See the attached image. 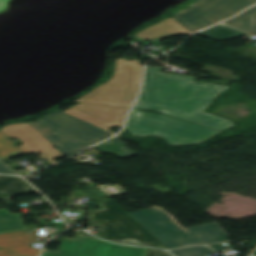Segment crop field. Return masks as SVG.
Segmentation results:
<instances>
[{
  "label": "crop field",
  "mask_w": 256,
  "mask_h": 256,
  "mask_svg": "<svg viewBox=\"0 0 256 256\" xmlns=\"http://www.w3.org/2000/svg\"><path fill=\"white\" fill-rule=\"evenodd\" d=\"M160 70V67H147L145 84L134 108L161 112L220 131L234 126L230 120L203 112L227 86L194 83L193 77L160 73Z\"/></svg>",
  "instance_id": "8a807250"
},
{
  "label": "crop field",
  "mask_w": 256,
  "mask_h": 256,
  "mask_svg": "<svg viewBox=\"0 0 256 256\" xmlns=\"http://www.w3.org/2000/svg\"><path fill=\"white\" fill-rule=\"evenodd\" d=\"M130 215L168 249L195 244H211L227 239V235L215 223L184 229L156 208L130 213Z\"/></svg>",
  "instance_id": "ac0d7876"
},
{
  "label": "crop field",
  "mask_w": 256,
  "mask_h": 256,
  "mask_svg": "<svg viewBox=\"0 0 256 256\" xmlns=\"http://www.w3.org/2000/svg\"><path fill=\"white\" fill-rule=\"evenodd\" d=\"M125 130L135 136H159L171 146L201 143L220 132L163 114L154 115L138 110H132ZM179 136L195 141L182 142Z\"/></svg>",
  "instance_id": "34b2d1b8"
},
{
  "label": "crop field",
  "mask_w": 256,
  "mask_h": 256,
  "mask_svg": "<svg viewBox=\"0 0 256 256\" xmlns=\"http://www.w3.org/2000/svg\"><path fill=\"white\" fill-rule=\"evenodd\" d=\"M91 226L100 228L95 235L107 240L165 248L157 238L110 198L100 202V208L91 213Z\"/></svg>",
  "instance_id": "412701ff"
},
{
  "label": "crop field",
  "mask_w": 256,
  "mask_h": 256,
  "mask_svg": "<svg viewBox=\"0 0 256 256\" xmlns=\"http://www.w3.org/2000/svg\"><path fill=\"white\" fill-rule=\"evenodd\" d=\"M142 69L139 61L118 59L114 77L75 102L130 108L140 87Z\"/></svg>",
  "instance_id": "f4fd0767"
},
{
  "label": "crop field",
  "mask_w": 256,
  "mask_h": 256,
  "mask_svg": "<svg viewBox=\"0 0 256 256\" xmlns=\"http://www.w3.org/2000/svg\"><path fill=\"white\" fill-rule=\"evenodd\" d=\"M254 3L256 0H200L173 17L194 33Z\"/></svg>",
  "instance_id": "dd49c442"
},
{
  "label": "crop field",
  "mask_w": 256,
  "mask_h": 256,
  "mask_svg": "<svg viewBox=\"0 0 256 256\" xmlns=\"http://www.w3.org/2000/svg\"><path fill=\"white\" fill-rule=\"evenodd\" d=\"M30 124L40 134L59 130L89 146L114 135L61 111L45 115Z\"/></svg>",
  "instance_id": "e52e79f7"
},
{
  "label": "crop field",
  "mask_w": 256,
  "mask_h": 256,
  "mask_svg": "<svg viewBox=\"0 0 256 256\" xmlns=\"http://www.w3.org/2000/svg\"><path fill=\"white\" fill-rule=\"evenodd\" d=\"M148 249L110 244L79 234L63 239L58 252L44 250L42 256H145Z\"/></svg>",
  "instance_id": "d8731c3e"
},
{
  "label": "crop field",
  "mask_w": 256,
  "mask_h": 256,
  "mask_svg": "<svg viewBox=\"0 0 256 256\" xmlns=\"http://www.w3.org/2000/svg\"><path fill=\"white\" fill-rule=\"evenodd\" d=\"M0 131L23 143L24 145L19 146V148L25 154L35 152L50 164L55 162L54 160L63 157L60 152L27 124L9 125Z\"/></svg>",
  "instance_id": "5a996713"
},
{
  "label": "crop field",
  "mask_w": 256,
  "mask_h": 256,
  "mask_svg": "<svg viewBox=\"0 0 256 256\" xmlns=\"http://www.w3.org/2000/svg\"><path fill=\"white\" fill-rule=\"evenodd\" d=\"M128 109L82 103L64 112L109 131L111 126L121 127Z\"/></svg>",
  "instance_id": "3316defc"
},
{
  "label": "crop field",
  "mask_w": 256,
  "mask_h": 256,
  "mask_svg": "<svg viewBox=\"0 0 256 256\" xmlns=\"http://www.w3.org/2000/svg\"><path fill=\"white\" fill-rule=\"evenodd\" d=\"M36 236L33 230L0 234V256H37L41 249L31 248Z\"/></svg>",
  "instance_id": "28ad6ade"
},
{
  "label": "crop field",
  "mask_w": 256,
  "mask_h": 256,
  "mask_svg": "<svg viewBox=\"0 0 256 256\" xmlns=\"http://www.w3.org/2000/svg\"><path fill=\"white\" fill-rule=\"evenodd\" d=\"M170 34H192L184 26H182L177 20L173 17L162 21L156 25H153L147 29H144L138 33L136 36L145 39L158 41Z\"/></svg>",
  "instance_id": "d1516ede"
},
{
  "label": "crop field",
  "mask_w": 256,
  "mask_h": 256,
  "mask_svg": "<svg viewBox=\"0 0 256 256\" xmlns=\"http://www.w3.org/2000/svg\"><path fill=\"white\" fill-rule=\"evenodd\" d=\"M47 139L57 150H59L65 157L83 150L86 146L58 131L41 134Z\"/></svg>",
  "instance_id": "22f410ed"
},
{
  "label": "crop field",
  "mask_w": 256,
  "mask_h": 256,
  "mask_svg": "<svg viewBox=\"0 0 256 256\" xmlns=\"http://www.w3.org/2000/svg\"><path fill=\"white\" fill-rule=\"evenodd\" d=\"M3 192L7 194L4 196L0 195V199L16 194L34 193L36 191L21 178L0 176V194Z\"/></svg>",
  "instance_id": "cbeb9de0"
},
{
  "label": "crop field",
  "mask_w": 256,
  "mask_h": 256,
  "mask_svg": "<svg viewBox=\"0 0 256 256\" xmlns=\"http://www.w3.org/2000/svg\"><path fill=\"white\" fill-rule=\"evenodd\" d=\"M225 24L243 30L247 33L253 32L256 34V6L225 22Z\"/></svg>",
  "instance_id": "5142ce71"
},
{
  "label": "crop field",
  "mask_w": 256,
  "mask_h": 256,
  "mask_svg": "<svg viewBox=\"0 0 256 256\" xmlns=\"http://www.w3.org/2000/svg\"><path fill=\"white\" fill-rule=\"evenodd\" d=\"M119 136L95 147L96 149L108 154H114L120 158H126V157H131L134 156L138 153L126 148L127 147V143H123L121 141H119L117 138Z\"/></svg>",
  "instance_id": "d9b57169"
},
{
  "label": "crop field",
  "mask_w": 256,
  "mask_h": 256,
  "mask_svg": "<svg viewBox=\"0 0 256 256\" xmlns=\"http://www.w3.org/2000/svg\"><path fill=\"white\" fill-rule=\"evenodd\" d=\"M243 34L244 33L240 31L219 24L205 32L198 33L197 35H201L212 40H228L239 37Z\"/></svg>",
  "instance_id": "733c2abd"
},
{
  "label": "crop field",
  "mask_w": 256,
  "mask_h": 256,
  "mask_svg": "<svg viewBox=\"0 0 256 256\" xmlns=\"http://www.w3.org/2000/svg\"><path fill=\"white\" fill-rule=\"evenodd\" d=\"M2 216H7L6 218H2ZM23 226L18 214L10 215L7 210H0V233L24 230Z\"/></svg>",
  "instance_id": "4a817a6b"
},
{
  "label": "crop field",
  "mask_w": 256,
  "mask_h": 256,
  "mask_svg": "<svg viewBox=\"0 0 256 256\" xmlns=\"http://www.w3.org/2000/svg\"><path fill=\"white\" fill-rule=\"evenodd\" d=\"M23 152L0 132V158L2 160L22 154Z\"/></svg>",
  "instance_id": "bc2a9ffb"
},
{
  "label": "crop field",
  "mask_w": 256,
  "mask_h": 256,
  "mask_svg": "<svg viewBox=\"0 0 256 256\" xmlns=\"http://www.w3.org/2000/svg\"><path fill=\"white\" fill-rule=\"evenodd\" d=\"M208 251L212 250L208 247L195 246L178 250H172L171 252L174 253L176 256H206L203 253Z\"/></svg>",
  "instance_id": "214f88e0"
},
{
  "label": "crop field",
  "mask_w": 256,
  "mask_h": 256,
  "mask_svg": "<svg viewBox=\"0 0 256 256\" xmlns=\"http://www.w3.org/2000/svg\"><path fill=\"white\" fill-rule=\"evenodd\" d=\"M99 187L109 197L116 196V195H121V194H125L126 193L118 185H103V186H99Z\"/></svg>",
  "instance_id": "92a150f3"
},
{
  "label": "crop field",
  "mask_w": 256,
  "mask_h": 256,
  "mask_svg": "<svg viewBox=\"0 0 256 256\" xmlns=\"http://www.w3.org/2000/svg\"><path fill=\"white\" fill-rule=\"evenodd\" d=\"M147 256H171V255L162 250L150 249Z\"/></svg>",
  "instance_id": "dafd665d"
},
{
  "label": "crop field",
  "mask_w": 256,
  "mask_h": 256,
  "mask_svg": "<svg viewBox=\"0 0 256 256\" xmlns=\"http://www.w3.org/2000/svg\"><path fill=\"white\" fill-rule=\"evenodd\" d=\"M0 173H9V174H15L10 168H8L4 163L0 161Z\"/></svg>",
  "instance_id": "00972430"
},
{
  "label": "crop field",
  "mask_w": 256,
  "mask_h": 256,
  "mask_svg": "<svg viewBox=\"0 0 256 256\" xmlns=\"http://www.w3.org/2000/svg\"><path fill=\"white\" fill-rule=\"evenodd\" d=\"M210 247H212L214 250L216 251H219L221 250L222 248H224L223 246H221L220 244H217V245H211Z\"/></svg>",
  "instance_id": "a9b5d70f"
},
{
  "label": "crop field",
  "mask_w": 256,
  "mask_h": 256,
  "mask_svg": "<svg viewBox=\"0 0 256 256\" xmlns=\"http://www.w3.org/2000/svg\"><path fill=\"white\" fill-rule=\"evenodd\" d=\"M10 200V199H9ZM8 200V198H5V199H1L0 201H2L4 204H6L7 206H10L12 205L11 202Z\"/></svg>",
  "instance_id": "4177f3b9"
},
{
  "label": "crop field",
  "mask_w": 256,
  "mask_h": 256,
  "mask_svg": "<svg viewBox=\"0 0 256 256\" xmlns=\"http://www.w3.org/2000/svg\"><path fill=\"white\" fill-rule=\"evenodd\" d=\"M8 0H3L1 3H0V10L4 7V5L7 3Z\"/></svg>",
  "instance_id": "730fd06b"
},
{
  "label": "crop field",
  "mask_w": 256,
  "mask_h": 256,
  "mask_svg": "<svg viewBox=\"0 0 256 256\" xmlns=\"http://www.w3.org/2000/svg\"><path fill=\"white\" fill-rule=\"evenodd\" d=\"M2 0H0V2H1Z\"/></svg>",
  "instance_id": "eef30255"
}]
</instances>
